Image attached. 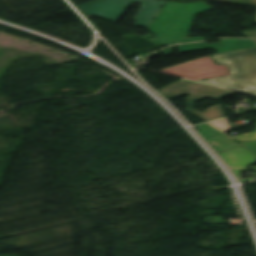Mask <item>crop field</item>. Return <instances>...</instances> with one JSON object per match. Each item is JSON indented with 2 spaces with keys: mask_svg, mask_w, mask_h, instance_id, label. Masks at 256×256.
<instances>
[{
  "mask_svg": "<svg viewBox=\"0 0 256 256\" xmlns=\"http://www.w3.org/2000/svg\"><path fill=\"white\" fill-rule=\"evenodd\" d=\"M212 10L204 2L181 3L166 1L148 31L157 36L152 42L158 45L203 40L189 38L196 15Z\"/></svg>",
  "mask_w": 256,
  "mask_h": 256,
  "instance_id": "1",
  "label": "crop field"
},
{
  "mask_svg": "<svg viewBox=\"0 0 256 256\" xmlns=\"http://www.w3.org/2000/svg\"><path fill=\"white\" fill-rule=\"evenodd\" d=\"M217 64L227 63L232 76L202 80L200 82L243 91L256 88L250 81L256 80V48L224 52L211 56Z\"/></svg>",
  "mask_w": 256,
  "mask_h": 256,
  "instance_id": "2",
  "label": "crop field"
},
{
  "mask_svg": "<svg viewBox=\"0 0 256 256\" xmlns=\"http://www.w3.org/2000/svg\"><path fill=\"white\" fill-rule=\"evenodd\" d=\"M159 91L167 98L172 96L179 97L187 93L189 95L187 99V111L206 121L225 117L222 106L216 105L201 113L195 110V102L203 98H213L218 100L234 93L184 79L165 86L159 89Z\"/></svg>",
  "mask_w": 256,
  "mask_h": 256,
  "instance_id": "3",
  "label": "crop field"
},
{
  "mask_svg": "<svg viewBox=\"0 0 256 256\" xmlns=\"http://www.w3.org/2000/svg\"><path fill=\"white\" fill-rule=\"evenodd\" d=\"M132 1L142 4L136 15L134 25L147 27L163 1L160 0H96L81 5L80 8L88 15L98 16L111 22H117Z\"/></svg>",
  "mask_w": 256,
  "mask_h": 256,
  "instance_id": "4",
  "label": "crop field"
},
{
  "mask_svg": "<svg viewBox=\"0 0 256 256\" xmlns=\"http://www.w3.org/2000/svg\"><path fill=\"white\" fill-rule=\"evenodd\" d=\"M230 168L234 171L239 182L253 180L254 177L242 180L241 172L248 171L247 166L256 163V156L249 152L244 147L231 149L219 153Z\"/></svg>",
  "mask_w": 256,
  "mask_h": 256,
  "instance_id": "5",
  "label": "crop field"
},
{
  "mask_svg": "<svg viewBox=\"0 0 256 256\" xmlns=\"http://www.w3.org/2000/svg\"><path fill=\"white\" fill-rule=\"evenodd\" d=\"M221 43L210 45L206 42L178 45L180 53L213 48L215 51L224 52L239 49L255 48L256 43L252 40L222 39Z\"/></svg>",
  "mask_w": 256,
  "mask_h": 256,
  "instance_id": "6",
  "label": "crop field"
},
{
  "mask_svg": "<svg viewBox=\"0 0 256 256\" xmlns=\"http://www.w3.org/2000/svg\"><path fill=\"white\" fill-rule=\"evenodd\" d=\"M207 141L212 145V147L217 152L244 145L246 148H248L251 152H253L256 155V142H248V143L238 145L236 142H234L228 136L213 138V139H209Z\"/></svg>",
  "mask_w": 256,
  "mask_h": 256,
  "instance_id": "7",
  "label": "crop field"
},
{
  "mask_svg": "<svg viewBox=\"0 0 256 256\" xmlns=\"http://www.w3.org/2000/svg\"><path fill=\"white\" fill-rule=\"evenodd\" d=\"M199 132L206 138H213L218 136L226 135L221 131L217 130L216 128L212 127L211 125L205 123L201 125H197Z\"/></svg>",
  "mask_w": 256,
  "mask_h": 256,
  "instance_id": "8",
  "label": "crop field"
},
{
  "mask_svg": "<svg viewBox=\"0 0 256 256\" xmlns=\"http://www.w3.org/2000/svg\"><path fill=\"white\" fill-rule=\"evenodd\" d=\"M211 124L224 132L232 129L227 119L211 122Z\"/></svg>",
  "mask_w": 256,
  "mask_h": 256,
  "instance_id": "9",
  "label": "crop field"
},
{
  "mask_svg": "<svg viewBox=\"0 0 256 256\" xmlns=\"http://www.w3.org/2000/svg\"><path fill=\"white\" fill-rule=\"evenodd\" d=\"M234 138H236L240 142H243V141H246V142H248V141H256V129H255V132L244 134V135L235 136Z\"/></svg>",
  "mask_w": 256,
  "mask_h": 256,
  "instance_id": "10",
  "label": "crop field"
},
{
  "mask_svg": "<svg viewBox=\"0 0 256 256\" xmlns=\"http://www.w3.org/2000/svg\"><path fill=\"white\" fill-rule=\"evenodd\" d=\"M250 37H256V31L244 32Z\"/></svg>",
  "mask_w": 256,
  "mask_h": 256,
  "instance_id": "11",
  "label": "crop field"
},
{
  "mask_svg": "<svg viewBox=\"0 0 256 256\" xmlns=\"http://www.w3.org/2000/svg\"><path fill=\"white\" fill-rule=\"evenodd\" d=\"M253 83L256 85V81H253ZM243 92H247V93L256 95V89L248 90V91H243Z\"/></svg>",
  "mask_w": 256,
  "mask_h": 256,
  "instance_id": "12",
  "label": "crop field"
},
{
  "mask_svg": "<svg viewBox=\"0 0 256 256\" xmlns=\"http://www.w3.org/2000/svg\"><path fill=\"white\" fill-rule=\"evenodd\" d=\"M254 3H256V0H252Z\"/></svg>",
  "mask_w": 256,
  "mask_h": 256,
  "instance_id": "13",
  "label": "crop field"
},
{
  "mask_svg": "<svg viewBox=\"0 0 256 256\" xmlns=\"http://www.w3.org/2000/svg\"><path fill=\"white\" fill-rule=\"evenodd\" d=\"M254 41L256 42V39Z\"/></svg>",
  "mask_w": 256,
  "mask_h": 256,
  "instance_id": "14",
  "label": "crop field"
}]
</instances>
